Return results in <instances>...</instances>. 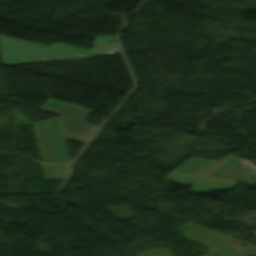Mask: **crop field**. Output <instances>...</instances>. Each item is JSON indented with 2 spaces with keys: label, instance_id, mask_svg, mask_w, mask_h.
<instances>
[{
  "label": "crop field",
  "instance_id": "crop-field-1",
  "mask_svg": "<svg viewBox=\"0 0 256 256\" xmlns=\"http://www.w3.org/2000/svg\"><path fill=\"white\" fill-rule=\"evenodd\" d=\"M243 159L244 158L235 157L230 154L225 156L219 162L206 159L191 158L174 171L232 180L251 186L256 183V175L245 169L235 166Z\"/></svg>",
  "mask_w": 256,
  "mask_h": 256
},
{
  "label": "crop field",
  "instance_id": "crop-field-2",
  "mask_svg": "<svg viewBox=\"0 0 256 256\" xmlns=\"http://www.w3.org/2000/svg\"><path fill=\"white\" fill-rule=\"evenodd\" d=\"M0 48L4 65L86 57L84 55L2 36H0Z\"/></svg>",
  "mask_w": 256,
  "mask_h": 256
},
{
  "label": "crop field",
  "instance_id": "crop-field-3",
  "mask_svg": "<svg viewBox=\"0 0 256 256\" xmlns=\"http://www.w3.org/2000/svg\"><path fill=\"white\" fill-rule=\"evenodd\" d=\"M52 114L83 121V123L61 118L67 140L85 144L97 126L84 123L93 110L48 98L39 109Z\"/></svg>",
  "mask_w": 256,
  "mask_h": 256
},
{
  "label": "crop field",
  "instance_id": "crop-field-4",
  "mask_svg": "<svg viewBox=\"0 0 256 256\" xmlns=\"http://www.w3.org/2000/svg\"><path fill=\"white\" fill-rule=\"evenodd\" d=\"M166 178L174 180L184 186L191 185V192L201 193L210 190H230L237 182L219 180L213 178L192 176L180 173L171 172Z\"/></svg>",
  "mask_w": 256,
  "mask_h": 256
},
{
  "label": "crop field",
  "instance_id": "crop-field-5",
  "mask_svg": "<svg viewBox=\"0 0 256 256\" xmlns=\"http://www.w3.org/2000/svg\"><path fill=\"white\" fill-rule=\"evenodd\" d=\"M90 38L96 39L93 44H96L91 50L78 48L70 45H65L61 43H56L52 45V47L93 56V55H101V54H109V53H119V47L115 43H110L106 41H115V36H90Z\"/></svg>",
  "mask_w": 256,
  "mask_h": 256
},
{
  "label": "crop field",
  "instance_id": "crop-field-6",
  "mask_svg": "<svg viewBox=\"0 0 256 256\" xmlns=\"http://www.w3.org/2000/svg\"><path fill=\"white\" fill-rule=\"evenodd\" d=\"M56 162H70L60 117L46 120Z\"/></svg>",
  "mask_w": 256,
  "mask_h": 256
},
{
  "label": "crop field",
  "instance_id": "crop-field-7",
  "mask_svg": "<svg viewBox=\"0 0 256 256\" xmlns=\"http://www.w3.org/2000/svg\"><path fill=\"white\" fill-rule=\"evenodd\" d=\"M33 124L43 162H55L45 120Z\"/></svg>",
  "mask_w": 256,
  "mask_h": 256
},
{
  "label": "crop field",
  "instance_id": "crop-field-8",
  "mask_svg": "<svg viewBox=\"0 0 256 256\" xmlns=\"http://www.w3.org/2000/svg\"><path fill=\"white\" fill-rule=\"evenodd\" d=\"M45 178L47 179H59L55 164L46 165L42 164Z\"/></svg>",
  "mask_w": 256,
  "mask_h": 256
},
{
  "label": "crop field",
  "instance_id": "crop-field-9",
  "mask_svg": "<svg viewBox=\"0 0 256 256\" xmlns=\"http://www.w3.org/2000/svg\"><path fill=\"white\" fill-rule=\"evenodd\" d=\"M57 166V170H58V174H59V178H65L67 175V166L66 165H56Z\"/></svg>",
  "mask_w": 256,
  "mask_h": 256
},
{
  "label": "crop field",
  "instance_id": "crop-field-10",
  "mask_svg": "<svg viewBox=\"0 0 256 256\" xmlns=\"http://www.w3.org/2000/svg\"><path fill=\"white\" fill-rule=\"evenodd\" d=\"M240 164H241V167L246 168L249 171L256 174V167L254 165H252L248 160H246V162L241 161Z\"/></svg>",
  "mask_w": 256,
  "mask_h": 256
}]
</instances>
